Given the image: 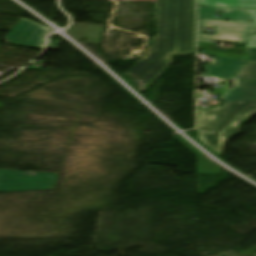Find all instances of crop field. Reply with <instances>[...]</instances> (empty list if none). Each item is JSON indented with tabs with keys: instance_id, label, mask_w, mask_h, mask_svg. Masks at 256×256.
<instances>
[{
	"instance_id": "obj_10",
	"label": "crop field",
	"mask_w": 256,
	"mask_h": 256,
	"mask_svg": "<svg viewBox=\"0 0 256 256\" xmlns=\"http://www.w3.org/2000/svg\"><path fill=\"white\" fill-rule=\"evenodd\" d=\"M256 99V90L232 87L221 101H236V100H250Z\"/></svg>"
},
{
	"instance_id": "obj_1",
	"label": "crop field",
	"mask_w": 256,
	"mask_h": 256,
	"mask_svg": "<svg viewBox=\"0 0 256 256\" xmlns=\"http://www.w3.org/2000/svg\"><path fill=\"white\" fill-rule=\"evenodd\" d=\"M156 25L147 55L124 73L140 90L168 66L174 54L193 52V3L156 4Z\"/></svg>"
},
{
	"instance_id": "obj_17",
	"label": "crop field",
	"mask_w": 256,
	"mask_h": 256,
	"mask_svg": "<svg viewBox=\"0 0 256 256\" xmlns=\"http://www.w3.org/2000/svg\"><path fill=\"white\" fill-rule=\"evenodd\" d=\"M47 30L49 31V33L51 32V30H50V29H48V28H47Z\"/></svg>"
},
{
	"instance_id": "obj_8",
	"label": "crop field",
	"mask_w": 256,
	"mask_h": 256,
	"mask_svg": "<svg viewBox=\"0 0 256 256\" xmlns=\"http://www.w3.org/2000/svg\"><path fill=\"white\" fill-rule=\"evenodd\" d=\"M236 86L256 88V62H250L235 78Z\"/></svg>"
},
{
	"instance_id": "obj_5",
	"label": "crop field",
	"mask_w": 256,
	"mask_h": 256,
	"mask_svg": "<svg viewBox=\"0 0 256 256\" xmlns=\"http://www.w3.org/2000/svg\"><path fill=\"white\" fill-rule=\"evenodd\" d=\"M48 34L46 28L25 19H20L5 38L10 45L42 50Z\"/></svg>"
},
{
	"instance_id": "obj_4",
	"label": "crop field",
	"mask_w": 256,
	"mask_h": 256,
	"mask_svg": "<svg viewBox=\"0 0 256 256\" xmlns=\"http://www.w3.org/2000/svg\"><path fill=\"white\" fill-rule=\"evenodd\" d=\"M204 28L214 29L213 35L198 31V39L247 44L251 35L256 33L252 22L199 20L198 29Z\"/></svg>"
},
{
	"instance_id": "obj_6",
	"label": "crop field",
	"mask_w": 256,
	"mask_h": 256,
	"mask_svg": "<svg viewBox=\"0 0 256 256\" xmlns=\"http://www.w3.org/2000/svg\"><path fill=\"white\" fill-rule=\"evenodd\" d=\"M218 11L223 12L217 14ZM198 16L199 19L252 21L246 9L198 7Z\"/></svg>"
},
{
	"instance_id": "obj_12",
	"label": "crop field",
	"mask_w": 256,
	"mask_h": 256,
	"mask_svg": "<svg viewBox=\"0 0 256 256\" xmlns=\"http://www.w3.org/2000/svg\"><path fill=\"white\" fill-rule=\"evenodd\" d=\"M256 26V9H247ZM246 47L256 48V34H253Z\"/></svg>"
},
{
	"instance_id": "obj_11",
	"label": "crop field",
	"mask_w": 256,
	"mask_h": 256,
	"mask_svg": "<svg viewBox=\"0 0 256 256\" xmlns=\"http://www.w3.org/2000/svg\"><path fill=\"white\" fill-rule=\"evenodd\" d=\"M198 173L220 174V168L198 156Z\"/></svg>"
},
{
	"instance_id": "obj_9",
	"label": "crop field",
	"mask_w": 256,
	"mask_h": 256,
	"mask_svg": "<svg viewBox=\"0 0 256 256\" xmlns=\"http://www.w3.org/2000/svg\"><path fill=\"white\" fill-rule=\"evenodd\" d=\"M199 6L256 8V0H198Z\"/></svg>"
},
{
	"instance_id": "obj_15",
	"label": "crop field",
	"mask_w": 256,
	"mask_h": 256,
	"mask_svg": "<svg viewBox=\"0 0 256 256\" xmlns=\"http://www.w3.org/2000/svg\"><path fill=\"white\" fill-rule=\"evenodd\" d=\"M248 52L250 53L252 59L251 61H256V49L247 48Z\"/></svg>"
},
{
	"instance_id": "obj_14",
	"label": "crop field",
	"mask_w": 256,
	"mask_h": 256,
	"mask_svg": "<svg viewBox=\"0 0 256 256\" xmlns=\"http://www.w3.org/2000/svg\"><path fill=\"white\" fill-rule=\"evenodd\" d=\"M193 2V0H157L156 3Z\"/></svg>"
},
{
	"instance_id": "obj_16",
	"label": "crop field",
	"mask_w": 256,
	"mask_h": 256,
	"mask_svg": "<svg viewBox=\"0 0 256 256\" xmlns=\"http://www.w3.org/2000/svg\"><path fill=\"white\" fill-rule=\"evenodd\" d=\"M228 140L229 139L222 138L221 156L223 155V150H224V147H225L226 143L228 142Z\"/></svg>"
},
{
	"instance_id": "obj_3",
	"label": "crop field",
	"mask_w": 256,
	"mask_h": 256,
	"mask_svg": "<svg viewBox=\"0 0 256 256\" xmlns=\"http://www.w3.org/2000/svg\"><path fill=\"white\" fill-rule=\"evenodd\" d=\"M58 175L0 170V192L54 189Z\"/></svg>"
},
{
	"instance_id": "obj_2",
	"label": "crop field",
	"mask_w": 256,
	"mask_h": 256,
	"mask_svg": "<svg viewBox=\"0 0 256 256\" xmlns=\"http://www.w3.org/2000/svg\"><path fill=\"white\" fill-rule=\"evenodd\" d=\"M256 115V101L225 103L198 117V140L220 155L221 137L232 138Z\"/></svg>"
},
{
	"instance_id": "obj_7",
	"label": "crop field",
	"mask_w": 256,
	"mask_h": 256,
	"mask_svg": "<svg viewBox=\"0 0 256 256\" xmlns=\"http://www.w3.org/2000/svg\"><path fill=\"white\" fill-rule=\"evenodd\" d=\"M243 67L244 66L207 65L205 66V75L199 76V78L233 80Z\"/></svg>"
},
{
	"instance_id": "obj_13",
	"label": "crop field",
	"mask_w": 256,
	"mask_h": 256,
	"mask_svg": "<svg viewBox=\"0 0 256 256\" xmlns=\"http://www.w3.org/2000/svg\"><path fill=\"white\" fill-rule=\"evenodd\" d=\"M61 44H62V42L50 41L48 49H59Z\"/></svg>"
}]
</instances>
